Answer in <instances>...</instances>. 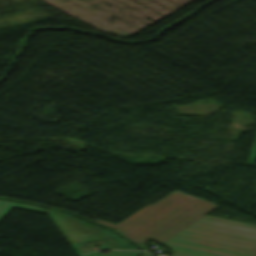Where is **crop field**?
Listing matches in <instances>:
<instances>
[{
	"label": "crop field",
	"instance_id": "crop-field-1",
	"mask_svg": "<svg viewBox=\"0 0 256 256\" xmlns=\"http://www.w3.org/2000/svg\"><path fill=\"white\" fill-rule=\"evenodd\" d=\"M161 243L174 256H251L256 226L204 215Z\"/></svg>",
	"mask_w": 256,
	"mask_h": 256
},
{
	"label": "crop field",
	"instance_id": "crop-field-2",
	"mask_svg": "<svg viewBox=\"0 0 256 256\" xmlns=\"http://www.w3.org/2000/svg\"><path fill=\"white\" fill-rule=\"evenodd\" d=\"M216 206L175 191L116 226L95 222L111 226L139 244L149 239L161 242Z\"/></svg>",
	"mask_w": 256,
	"mask_h": 256
},
{
	"label": "crop field",
	"instance_id": "crop-field-3",
	"mask_svg": "<svg viewBox=\"0 0 256 256\" xmlns=\"http://www.w3.org/2000/svg\"><path fill=\"white\" fill-rule=\"evenodd\" d=\"M46 210V209H45ZM48 215L58 226L76 254L77 247L87 240L103 239L106 241L100 249L134 250L128 243L121 241L113 233L85 223L73 216L61 212L46 210Z\"/></svg>",
	"mask_w": 256,
	"mask_h": 256
},
{
	"label": "crop field",
	"instance_id": "crop-field-4",
	"mask_svg": "<svg viewBox=\"0 0 256 256\" xmlns=\"http://www.w3.org/2000/svg\"><path fill=\"white\" fill-rule=\"evenodd\" d=\"M21 208L26 210H32V211H38L44 213V208L36 207L32 205L22 204V203H16V202H10V201H4L0 200V219L12 208Z\"/></svg>",
	"mask_w": 256,
	"mask_h": 256
},
{
	"label": "crop field",
	"instance_id": "crop-field-5",
	"mask_svg": "<svg viewBox=\"0 0 256 256\" xmlns=\"http://www.w3.org/2000/svg\"><path fill=\"white\" fill-rule=\"evenodd\" d=\"M83 256H135V253H129V252H117V251H112L111 253L104 255L100 252H95L92 254H87Z\"/></svg>",
	"mask_w": 256,
	"mask_h": 256
},
{
	"label": "crop field",
	"instance_id": "crop-field-6",
	"mask_svg": "<svg viewBox=\"0 0 256 256\" xmlns=\"http://www.w3.org/2000/svg\"><path fill=\"white\" fill-rule=\"evenodd\" d=\"M255 158H256V139L247 163L253 164Z\"/></svg>",
	"mask_w": 256,
	"mask_h": 256
},
{
	"label": "crop field",
	"instance_id": "crop-field-7",
	"mask_svg": "<svg viewBox=\"0 0 256 256\" xmlns=\"http://www.w3.org/2000/svg\"><path fill=\"white\" fill-rule=\"evenodd\" d=\"M252 256H256V252Z\"/></svg>",
	"mask_w": 256,
	"mask_h": 256
}]
</instances>
